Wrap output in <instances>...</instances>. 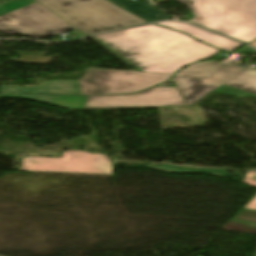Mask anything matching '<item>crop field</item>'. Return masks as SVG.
Segmentation results:
<instances>
[{
	"label": "crop field",
	"instance_id": "obj_2",
	"mask_svg": "<svg viewBox=\"0 0 256 256\" xmlns=\"http://www.w3.org/2000/svg\"><path fill=\"white\" fill-rule=\"evenodd\" d=\"M173 74L87 68L82 79L51 81L40 87L3 85L0 92L49 94H115L143 90L168 80Z\"/></svg>",
	"mask_w": 256,
	"mask_h": 256
},
{
	"label": "crop field",
	"instance_id": "obj_15",
	"mask_svg": "<svg viewBox=\"0 0 256 256\" xmlns=\"http://www.w3.org/2000/svg\"><path fill=\"white\" fill-rule=\"evenodd\" d=\"M242 183L256 187V172H247Z\"/></svg>",
	"mask_w": 256,
	"mask_h": 256
},
{
	"label": "crop field",
	"instance_id": "obj_8",
	"mask_svg": "<svg viewBox=\"0 0 256 256\" xmlns=\"http://www.w3.org/2000/svg\"><path fill=\"white\" fill-rule=\"evenodd\" d=\"M21 170L111 174L112 164L106 155L66 151L61 158L25 157Z\"/></svg>",
	"mask_w": 256,
	"mask_h": 256
},
{
	"label": "crop field",
	"instance_id": "obj_7",
	"mask_svg": "<svg viewBox=\"0 0 256 256\" xmlns=\"http://www.w3.org/2000/svg\"><path fill=\"white\" fill-rule=\"evenodd\" d=\"M69 30L73 28L33 0H10L0 4L1 33L17 32L42 39Z\"/></svg>",
	"mask_w": 256,
	"mask_h": 256
},
{
	"label": "crop field",
	"instance_id": "obj_13",
	"mask_svg": "<svg viewBox=\"0 0 256 256\" xmlns=\"http://www.w3.org/2000/svg\"><path fill=\"white\" fill-rule=\"evenodd\" d=\"M219 51L220 50L209 46L206 49H204L203 51L199 52L198 54H196L195 56H193L189 60L185 61L184 63H182L181 65H179L178 67H176L175 69L171 70L168 73H175L178 69H180V68H182V67H184V66H186V65H188L192 62H196V61H199V60L209 58V57L213 56L214 54H216Z\"/></svg>",
	"mask_w": 256,
	"mask_h": 256
},
{
	"label": "crop field",
	"instance_id": "obj_12",
	"mask_svg": "<svg viewBox=\"0 0 256 256\" xmlns=\"http://www.w3.org/2000/svg\"><path fill=\"white\" fill-rule=\"evenodd\" d=\"M219 63H221V61H217V60H213V59H211L210 62L206 61L203 63H195L192 66L180 71L177 74L203 75L210 69L217 66Z\"/></svg>",
	"mask_w": 256,
	"mask_h": 256
},
{
	"label": "crop field",
	"instance_id": "obj_1",
	"mask_svg": "<svg viewBox=\"0 0 256 256\" xmlns=\"http://www.w3.org/2000/svg\"><path fill=\"white\" fill-rule=\"evenodd\" d=\"M135 70L167 73L208 45L149 25L91 37Z\"/></svg>",
	"mask_w": 256,
	"mask_h": 256
},
{
	"label": "crop field",
	"instance_id": "obj_14",
	"mask_svg": "<svg viewBox=\"0 0 256 256\" xmlns=\"http://www.w3.org/2000/svg\"><path fill=\"white\" fill-rule=\"evenodd\" d=\"M231 222L256 226V211L243 209L231 220Z\"/></svg>",
	"mask_w": 256,
	"mask_h": 256
},
{
	"label": "crop field",
	"instance_id": "obj_16",
	"mask_svg": "<svg viewBox=\"0 0 256 256\" xmlns=\"http://www.w3.org/2000/svg\"><path fill=\"white\" fill-rule=\"evenodd\" d=\"M245 208L256 210V196L250 201V203Z\"/></svg>",
	"mask_w": 256,
	"mask_h": 256
},
{
	"label": "crop field",
	"instance_id": "obj_11",
	"mask_svg": "<svg viewBox=\"0 0 256 256\" xmlns=\"http://www.w3.org/2000/svg\"><path fill=\"white\" fill-rule=\"evenodd\" d=\"M144 168H151V169L163 170L167 172H178V173H209L221 178L225 177L228 174L227 171H223V170H208V169H194V168L177 169L175 167L168 166V165L145 166Z\"/></svg>",
	"mask_w": 256,
	"mask_h": 256
},
{
	"label": "crop field",
	"instance_id": "obj_4",
	"mask_svg": "<svg viewBox=\"0 0 256 256\" xmlns=\"http://www.w3.org/2000/svg\"><path fill=\"white\" fill-rule=\"evenodd\" d=\"M0 97H17L70 110L189 106L176 87H154L131 95L77 96L0 94Z\"/></svg>",
	"mask_w": 256,
	"mask_h": 256
},
{
	"label": "crop field",
	"instance_id": "obj_19",
	"mask_svg": "<svg viewBox=\"0 0 256 256\" xmlns=\"http://www.w3.org/2000/svg\"><path fill=\"white\" fill-rule=\"evenodd\" d=\"M256 256V255H255Z\"/></svg>",
	"mask_w": 256,
	"mask_h": 256
},
{
	"label": "crop field",
	"instance_id": "obj_5",
	"mask_svg": "<svg viewBox=\"0 0 256 256\" xmlns=\"http://www.w3.org/2000/svg\"><path fill=\"white\" fill-rule=\"evenodd\" d=\"M85 35L145 21L106 0H37Z\"/></svg>",
	"mask_w": 256,
	"mask_h": 256
},
{
	"label": "crop field",
	"instance_id": "obj_17",
	"mask_svg": "<svg viewBox=\"0 0 256 256\" xmlns=\"http://www.w3.org/2000/svg\"><path fill=\"white\" fill-rule=\"evenodd\" d=\"M238 52H244V53H256V51H254L253 49L245 46L243 47L241 50H239Z\"/></svg>",
	"mask_w": 256,
	"mask_h": 256
},
{
	"label": "crop field",
	"instance_id": "obj_10",
	"mask_svg": "<svg viewBox=\"0 0 256 256\" xmlns=\"http://www.w3.org/2000/svg\"><path fill=\"white\" fill-rule=\"evenodd\" d=\"M117 5L123 7L124 9L130 11L131 13L148 20L150 22L157 21L161 19H170L171 17L167 16L163 12L159 11L153 7L148 0H142L138 2H131L129 0H110Z\"/></svg>",
	"mask_w": 256,
	"mask_h": 256
},
{
	"label": "crop field",
	"instance_id": "obj_6",
	"mask_svg": "<svg viewBox=\"0 0 256 256\" xmlns=\"http://www.w3.org/2000/svg\"><path fill=\"white\" fill-rule=\"evenodd\" d=\"M189 105L209 92L256 96V70L222 63L203 77L177 76L172 80Z\"/></svg>",
	"mask_w": 256,
	"mask_h": 256
},
{
	"label": "crop field",
	"instance_id": "obj_18",
	"mask_svg": "<svg viewBox=\"0 0 256 256\" xmlns=\"http://www.w3.org/2000/svg\"><path fill=\"white\" fill-rule=\"evenodd\" d=\"M250 45L256 47V40L252 41L251 43H249Z\"/></svg>",
	"mask_w": 256,
	"mask_h": 256
},
{
	"label": "crop field",
	"instance_id": "obj_9",
	"mask_svg": "<svg viewBox=\"0 0 256 256\" xmlns=\"http://www.w3.org/2000/svg\"><path fill=\"white\" fill-rule=\"evenodd\" d=\"M156 24L163 27L170 28V29L185 32L204 43L210 44L212 46H215L227 51H233L242 45L230 39L224 38L222 36H219L217 34L211 33L209 31L197 28L189 24L175 23V22H160Z\"/></svg>",
	"mask_w": 256,
	"mask_h": 256
},
{
	"label": "crop field",
	"instance_id": "obj_3",
	"mask_svg": "<svg viewBox=\"0 0 256 256\" xmlns=\"http://www.w3.org/2000/svg\"><path fill=\"white\" fill-rule=\"evenodd\" d=\"M176 1L194 14L190 22L246 43L256 38V0Z\"/></svg>",
	"mask_w": 256,
	"mask_h": 256
}]
</instances>
